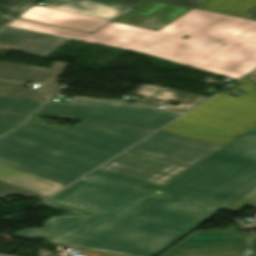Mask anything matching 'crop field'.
Segmentation results:
<instances>
[{"mask_svg":"<svg viewBox=\"0 0 256 256\" xmlns=\"http://www.w3.org/2000/svg\"><path fill=\"white\" fill-rule=\"evenodd\" d=\"M69 64L55 61L49 69L0 61V78L20 82L54 83Z\"/></svg>","mask_w":256,"mask_h":256,"instance_id":"obj_13","label":"crop field"},{"mask_svg":"<svg viewBox=\"0 0 256 256\" xmlns=\"http://www.w3.org/2000/svg\"><path fill=\"white\" fill-rule=\"evenodd\" d=\"M256 186V128L119 214L56 216L12 236L129 255L155 256ZM88 226L87 229H83Z\"/></svg>","mask_w":256,"mask_h":256,"instance_id":"obj_1","label":"crop field"},{"mask_svg":"<svg viewBox=\"0 0 256 256\" xmlns=\"http://www.w3.org/2000/svg\"><path fill=\"white\" fill-rule=\"evenodd\" d=\"M240 86L238 88L243 89L244 91H246L248 94L240 96L238 98L235 97H231L225 94H217L220 96H226V97H230V98H234L237 100H241V101H245V102H249V103H253L256 104V87L246 78L238 81Z\"/></svg>","mask_w":256,"mask_h":256,"instance_id":"obj_21","label":"crop field"},{"mask_svg":"<svg viewBox=\"0 0 256 256\" xmlns=\"http://www.w3.org/2000/svg\"><path fill=\"white\" fill-rule=\"evenodd\" d=\"M197 8L245 17L256 10V0H207Z\"/></svg>","mask_w":256,"mask_h":256,"instance_id":"obj_18","label":"crop field"},{"mask_svg":"<svg viewBox=\"0 0 256 256\" xmlns=\"http://www.w3.org/2000/svg\"><path fill=\"white\" fill-rule=\"evenodd\" d=\"M36 0H0V11L16 16Z\"/></svg>","mask_w":256,"mask_h":256,"instance_id":"obj_20","label":"crop field"},{"mask_svg":"<svg viewBox=\"0 0 256 256\" xmlns=\"http://www.w3.org/2000/svg\"><path fill=\"white\" fill-rule=\"evenodd\" d=\"M42 203L82 215L125 210L163 184L99 168Z\"/></svg>","mask_w":256,"mask_h":256,"instance_id":"obj_5","label":"crop field"},{"mask_svg":"<svg viewBox=\"0 0 256 256\" xmlns=\"http://www.w3.org/2000/svg\"><path fill=\"white\" fill-rule=\"evenodd\" d=\"M41 6L109 20L122 16L133 9V7L115 5L97 0H53V3Z\"/></svg>","mask_w":256,"mask_h":256,"instance_id":"obj_14","label":"crop field"},{"mask_svg":"<svg viewBox=\"0 0 256 256\" xmlns=\"http://www.w3.org/2000/svg\"><path fill=\"white\" fill-rule=\"evenodd\" d=\"M256 125V105L213 96L162 130L225 145Z\"/></svg>","mask_w":256,"mask_h":256,"instance_id":"obj_6","label":"crop field"},{"mask_svg":"<svg viewBox=\"0 0 256 256\" xmlns=\"http://www.w3.org/2000/svg\"><path fill=\"white\" fill-rule=\"evenodd\" d=\"M102 1L136 7L139 4H141L144 0H102ZM161 1L195 7L200 3L204 2L205 0H161Z\"/></svg>","mask_w":256,"mask_h":256,"instance_id":"obj_22","label":"crop field"},{"mask_svg":"<svg viewBox=\"0 0 256 256\" xmlns=\"http://www.w3.org/2000/svg\"><path fill=\"white\" fill-rule=\"evenodd\" d=\"M0 180L47 196L66 186L3 164H0Z\"/></svg>","mask_w":256,"mask_h":256,"instance_id":"obj_15","label":"crop field"},{"mask_svg":"<svg viewBox=\"0 0 256 256\" xmlns=\"http://www.w3.org/2000/svg\"><path fill=\"white\" fill-rule=\"evenodd\" d=\"M7 26L40 32V33L54 35V36H59V37H64V38H69V39H74V40H79V41H82L85 37L89 35V33H84V32L34 23V22L23 21L18 18L13 20Z\"/></svg>","mask_w":256,"mask_h":256,"instance_id":"obj_19","label":"crop field"},{"mask_svg":"<svg viewBox=\"0 0 256 256\" xmlns=\"http://www.w3.org/2000/svg\"><path fill=\"white\" fill-rule=\"evenodd\" d=\"M20 99L0 95V110L3 112L11 108Z\"/></svg>","mask_w":256,"mask_h":256,"instance_id":"obj_24","label":"crop field"},{"mask_svg":"<svg viewBox=\"0 0 256 256\" xmlns=\"http://www.w3.org/2000/svg\"><path fill=\"white\" fill-rule=\"evenodd\" d=\"M251 235L195 231L161 256H246Z\"/></svg>","mask_w":256,"mask_h":256,"instance_id":"obj_7","label":"crop field"},{"mask_svg":"<svg viewBox=\"0 0 256 256\" xmlns=\"http://www.w3.org/2000/svg\"><path fill=\"white\" fill-rule=\"evenodd\" d=\"M35 114L85 120L74 128L25 123L0 138V163L66 185L181 115L83 98L48 101Z\"/></svg>","mask_w":256,"mask_h":256,"instance_id":"obj_2","label":"crop field"},{"mask_svg":"<svg viewBox=\"0 0 256 256\" xmlns=\"http://www.w3.org/2000/svg\"><path fill=\"white\" fill-rule=\"evenodd\" d=\"M13 17L0 13V27L10 21Z\"/></svg>","mask_w":256,"mask_h":256,"instance_id":"obj_26","label":"crop field"},{"mask_svg":"<svg viewBox=\"0 0 256 256\" xmlns=\"http://www.w3.org/2000/svg\"><path fill=\"white\" fill-rule=\"evenodd\" d=\"M40 104L36 100L21 99L0 117V135L19 126Z\"/></svg>","mask_w":256,"mask_h":256,"instance_id":"obj_17","label":"crop field"},{"mask_svg":"<svg viewBox=\"0 0 256 256\" xmlns=\"http://www.w3.org/2000/svg\"><path fill=\"white\" fill-rule=\"evenodd\" d=\"M189 10L191 8L148 0L132 12L114 21L159 30Z\"/></svg>","mask_w":256,"mask_h":256,"instance_id":"obj_9","label":"crop field"},{"mask_svg":"<svg viewBox=\"0 0 256 256\" xmlns=\"http://www.w3.org/2000/svg\"><path fill=\"white\" fill-rule=\"evenodd\" d=\"M3 114V112H0V115H2Z\"/></svg>","mask_w":256,"mask_h":256,"instance_id":"obj_29","label":"crop field"},{"mask_svg":"<svg viewBox=\"0 0 256 256\" xmlns=\"http://www.w3.org/2000/svg\"><path fill=\"white\" fill-rule=\"evenodd\" d=\"M68 40L7 26L0 30V49L12 48L43 58Z\"/></svg>","mask_w":256,"mask_h":256,"instance_id":"obj_8","label":"crop field"},{"mask_svg":"<svg viewBox=\"0 0 256 256\" xmlns=\"http://www.w3.org/2000/svg\"><path fill=\"white\" fill-rule=\"evenodd\" d=\"M131 50L237 79L256 68V21L193 9Z\"/></svg>","mask_w":256,"mask_h":256,"instance_id":"obj_3","label":"crop field"},{"mask_svg":"<svg viewBox=\"0 0 256 256\" xmlns=\"http://www.w3.org/2000/svg\"><path fill=\"white\" fill-rule=\"evenodd\" d=\"M247 76L256 84V71L252 72Z\"/></svg>","mask_w":256,"mask_h":256,"instance_id":"obj_27","label":"crop field"},{"mask_svg":"<svg viewBox=\"0 0 256 256\" xmlns=\"http://www.w3.org/2000/svg\"><path fill=\"white\" fill-rule=\"evenodd\" d=\"M20 19L65 27L92 33L109 22V20L74 14L70 12L33 6Z\"/></svg>","mask_w":256,"mask_h":256,"instance_id":"obj_10","label":"crop field"},{"mask_svg":"<svg viewBox=\"0 0 256 256\" xmlns=\"http://www.w3.org/2000/svg\"><path fill=\"white\" fill-rule=\"evenodd\" d=\"M153 32L154 30L112 22L83 41L129 49Z\"/></svg>","mask_w":256,"mask_h":256,"instance_id":"obj_12","label":"crop field"},{"mask_svg":"<svg viewBox=\"0 0 256 256\" xmlns=\"http://www.w3.org/2000/svg\"><path fill=\"white\" fill-rule=\"evenodd\" d=\"M247 18H253L256 19V11L253 12L252 14H250L249 16H247Z\"/></svg>","mask_w":256,"mask_h":256,"instance_id":"obj_28","label":"crop field"},{"mask_svg":"<svg viewBox=\"0 0 256 256\" xmlns=\"http://www.w3.org/2000/svg\"><path fill=\"white\" fill-rule=\"evenodd\" d=\"M79 253L87 256H94L92 254H95V256H123V255H117V254H111V253H105V252H99V251H93V250H87V249H84Z\"/></svg>","mask_w":256,"mask_h":256,"instance_id":"obj_25","label":"crop field"},{"mask_svg":"<svg viewBox=\"0 0 256 256\" xmlns=\"http://www.w3.org/2000/svg\"><path fill=\"white\" fill-rule=\"evenodd\" d=\"M63 89L60 86L41 84L36 89L30 87L29 89H22L20 83L0 80V94L36 99L40 104L56 95L58 91Z\"/></svg>","mask_w":256,"mask_h":256,"instance_id":"obj_16","label":"crop field"},{"mask_svg":"<svg viewBox=\"0 0 256 256\" xmlns=\"http://www.w3.org/2000/svg\"><path fill=\"white\" fill-rule=\"evenodd\" d=\"M219 148L221 147L158 131L102 168L165 184Z\"/></svg>","mask_w":256,"mask_h":256,"instance_id":"obj_4","label":"crop field"},{"mask_svg":"<svg viewBox=\"0 0 256 256\" xmlns=\"http://www.w3.org/2000/svg\"><path fill=\"white\" fill-rule=\"evenodd\" d=\"M133 95L144 98L140 103L159 107L160 105L177 112H184L204 101L206 97L164 88L155 85L144 84L135 89ZM156 100H161L159 103ZM170 101L181 103L177 107L168 105Z\"/></svg>","mask_w":256,"mask_h":256,"instance_id":"obj_11","label":"crop field"},{"mask_svg":"<svg viewBox=\"0 0 256 256\" xmlns=\"http://www.w3.org/2000/svg\"><path fill=\"white\" fill-rule=\"evenodd\" d=\"M12 194H17V195H24V196H31V197H38V198H47L20 188H17L15 186L0 182V199L4 197H8Z\"/></svg>","mask_w":256,"mask_h":256,"instance_id":"obj_23","label":"crop field"}]
</instances>
